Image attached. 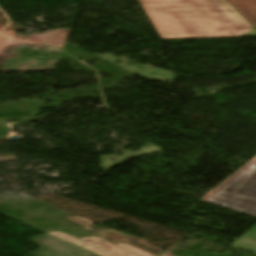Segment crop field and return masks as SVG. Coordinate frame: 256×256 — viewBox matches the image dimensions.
<instances>
[{"label":"crop field","instance_id":"obj_1","mask_svg":"<svg viewBox=\"0 0 256 256\" xmlns=\"http://www.w3.org/2000/svg\"><path fill=\"white\" fill-rule=\"evenodd\" d=\"M139 1L162 39L256 36L225 0Z\"/></svg>","mask_w":256,"mask_h":256},{"label":"crop field","instance_id":"obj_2","mask_svg":"<svg viewBox=\"0 0 256 256\" xmlns=\"http://www.w3.org/2000/svg\"><path fill=\"white\" fill-rule=\"evenodd\" d=\"M204 201L256 217V160Z\"/></svg>","mask_w":256,"mask_h":256},{"label":"crop field","instance_id":"obj_3","mask_svg":"<svg viewBox=\"0 0 256 256\" xmlns=\"http://www.w3.org/2000/svg\"><path fill=\"white\" fill-rule=\"evenodd\" d=\"M61 240L98 256H169L139 243L112 245L100 238H72L62 232H49Z\"/></svg>","mask_w":256,"mask_h":256},{"label":"crop field","instance_id":"obj_4","mask_svg":"<svg viewBox=\"0 0 256 256\" xmlns=\"http://www.w3.org/2000/svg\"><path fill=\"white\" fill-rule=\"evenodd\" d=\"M40 248L32 256H96L48 234L28 238Z\"/></svg>","mask_w":256,"mask_h":256}]
</instances>
